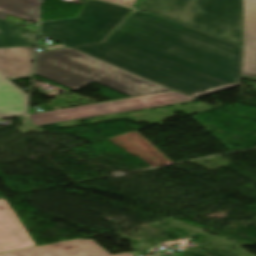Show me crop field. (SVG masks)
I'll return each instance as SVG.
<instances>
[{
	"instance_id": "1",
	"label": "crop field",
	"mask_w": 256,
	"mask_h": 256,
	"mask_svg": "<svg viewBox=\"0 0 256 256\" xmlns=\"http://www.w3.org/2000/svg\"><path fill=\"white\" fill-rule=\"evenodd\" d=\"M74 49L193 99L241 82L242 47L136 10L103 44Z\"/></svg>"
},
{
	"instance_id": "2",
	"label": "crop field",
	"mask_w": 256,
	"mask_h": 256,
	"mask_svg": "<svg viewBox=\"0 0 256 256\" xmlns=\"http://www.w3.org/2000/svg\"><path fill=\"white\" fill-rule=\"evenodd\" d=\"M105 63L67 48L38 53L35 72L75 91L93 81L131 97L171 91Z\"/></svg>"
},
{
	"instance_id": "3",
	"label": "crop field",
	"mask_w": 256,
	"mask_h": 256,
	"mask_svg": "<svg viewBox=\"0 0 256 256\" xmlns=\"http://www.w3.org/2000/svg\"><path fill=\"white\" fill-rule=\"evenodd\" d=\"M139 8L243 47L241 0H143Z\"/></svg>"
},
{
	"instance_id": "4",
	"label": "crop field",
	"mask_w": 256,
	"mask_h": 256,
	"mask_svg": "<svg viewBox=\"0 0 256 256\" xmlns=\"http://www.w3.org/2000/svg\"><path fill=\"white\" fill-rule=\"evenodd\" d=\"M132 11L99 0H87L78 17L40 23V34L68 47L102 42Z\"/></svg>"
},
{
	"instance_id": "5",
	"label": "crop field",
	"mask_w": 256,
	"mask_h": 256,
	"mask_svg": "<svg viewBox=\"0 0 256 256\" xmlns=\"http://www.w3.org/2000/svg\"><path fill=\"white\" fill-rule=\"evenodd\" d=\"M194 101L176 92L136 97L29 115L34 126Z\"/></svg>"
},
{
	"instance_id": "6",
	"label": "crop field",
	"mask_w": 256,
	"mask_h": 256,
	"mask_svg": "<svg viewBox=\"0 0 256 256\" xmlns=\"http://www.w3.org/2000/svg\"><path fill=\"white\" fill-rule=\"evenodd\" d=\"M0 256H111L94 241L77 239L46 244L43 246L2 253ZM113 256H134L131 252Z\"/></svg>"
},
{
	"instance_id": "7",
	"label": "crop field",
	"mask_w": 256,
	"mask_h": 256,
	"mask_svg": "<svg viewBox=\"0 0 256 256\" xmlns=\"http://www.w3.org/2000/svg\"><path fill=\"white\" fill-rule=\"evenodd\" d=\"M35 246L5 198L0 199V253Z\"/></svg>"
},
{
	"instance_id": "8",
	"label": "crop field",
	"mask_w": 256,
	"mask_h": 256,
	"mask_svg": "<svg viewBox=\"0 0 256 256\" xmlns=\"http://www.w3.org/2000/svg\"><path fill=\"white\" fill-rule=\"evenodd\" d=\"M244 57L242 77L256 81V0H242Z\"/></svg>"
},
{
	"instance_id": "9",
	"label": "crop field",
	"mask_w": 256,
	"mask_h": 256,
	"mask_svg": "<svg viewBox=\"0 0 256 256\" xmlns=\"http://www.w3.org/2000/svg\"><path fill=\"white\" fill-rule=\"evenodd\" d=\"M35 47L0 48V73L7 78L32 73Z\"/></svg>"
},
{
	"instance_id": "10",
	"label": "crop field",
	"mask_w": 256,
	"mask_h": 256,
	"mask_svg": "<svg viewBox=\"0 0 256 256\" xmlns=\"http://www.w3.org/2000/svg\"><path fill=\"white\" fill-rule=\"evenodd\" d=\"M29 95L0 74V118L27 113Z\"/></svg>"
},
{
	"instance_id": "11",
	"label": "crop field",
	"mask_w": 256,
	"mask_h": 256,
	"mask_svg": "<svg viewBox=\"0 0 256 256\" xmlns=\"http://www.w3.org/2000/svg\"><path fill=\"white\" fill-rule=\"evenodd\" d=\"M40 0H0V18L8 14L38 23Z\"/></svg>"
},
{
	"instance_id": "12",
	"label": "crop field",
	"mask_w": 256,
	"mask_h": 256,
	"mask_svg": "<svg viewBox=\"0 0 256 256\" xmlns=\"http://www.w3.org/2000/svg\"><path fill=\"white\" fill-rule=\"evenodd\" d=\"M36 34L0 19V47L35 45Z\"/></svg>"
},
{
	"instance_id": "13",
	"label": "crop field",
	"mask_w": 256,
	"mask_h": 256,
	"mask_svg": "<svg viewBox=\"0 0 256 256\" xmlns=\"http://www.w3.org/2000/svg\"><path fill=\"white\" fill-rule=\"evenodd\" d=\"M106 1L114 2V3L126 5V6H133L135 2V0H106Z\"/></svg>"
}]
</instances>
